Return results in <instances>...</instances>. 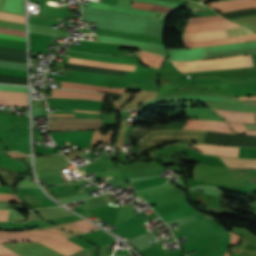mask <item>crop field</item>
I'll return each mask as SVG.
<instances>
[{
    "label": "crop field",
    "instance_id": "1",
    "mask_svg": "<svg viewBox=\"0 0 256 256\" xmlns=\"http://www.w3.org/2000/svg\"><path fill=\"white\" fill-rule=\"evenodd\" d=\"M173 62V61H172ZM183 72L252 66L251 56L208 59L194 62H173Z\"/></svg>",
    "mask_w": 256,
    "mask_h": 256
},
{
    "label": "crop field",
    "instance_id": "2",
    "mask_svg": "<svg viewBox=\"0 0 256 256\" xmlns=\"http://www.w3.org/2000/svg\"><path fill=\"white\" fill-rule=\"evenodd\" d=\"M61 238L68 237L46 231L0 232V242L46 241Z\"/></svg>",
    "mask_w": 256,
    "mask_h": 256
},
{
    "label": "crop field",
    "instance_id": "3",
    "mask_svg": "<svg viewBox=\"0 0 256 256\" xmlns=\"http://www.w3.org/2000/svg\"><path fill=\"white\" fill-rule=\"evenodd\" d=\"M180 100H188V101L210 100V101H217V102H224V103H231V104H238V105H256V100H234L226 97L203 96V95H180V96H172V97H165L161 99L150 100L145 105H143L142 108L155 102L180 101Z\"/></svg>",
    "mask_w": 256,
    "mask_h": 256
},
{
    "label": "crop field",
    "instance_id": "4",
    "mask_svg": "<svg viewBox=\"0 0 256 256\" xmlns=\"http://www.w3.org/2000/svg\"><path fill=\"white\" fill-rule=\"evenodd\" d=\"M233 27H238V26L227 20H223V21H215V22L188 24L186 25L185 32L214 31V30H221V29H229Z\"/></svg>",
    "mask_w": 256,
    "mask_h": 256
},
{
    "label": "crop field",
    "instance_id": "5",
    "mask_svg": "<svg viewBox=\"0 0 256 256\" xmlns=\"http://www.w3.org/2000/svg\"><path fill=\"white\" fill-rule=\"evenodd\" d=\"M185 129L209 130V131L233 133L230 131V129L226 123L215 122V121H191V120H188Z\"/></svg>",
    "mask_w": 256,
    "mask_h": 256
},
{
    "label": "crop field",
    "instance_id": "6",
    "mask_svg": "<svg viewBox=\"0 0 256 256\" xmlns=\"http://www.w3.org/2000/svg\"><path fill=\"white\" fill-rule=\"evenodd\" d=\"M227 121L255 124L254 113L213 109Z\"/></svg>",
    "mask_w": 256,
    "mask_h": 256
},
{
    "label": "crop field",
    "instance_id": "7",
    "mask_svg": "<svg viewBox=\"0 0 256 256\" xmlns=\"http://www.w3.org/2000/svg\"><path fill=\"white\" fill-rule=\"evenodd\" d=\"M66 256H69L70 254L83 249L80 248L74 244H72L71 242L63 239V240H56V241H46V242H40Z\"/></svg>",
    "mask_w": 256,
    "mask_h": 256
},
{
    "label": "crop field",
    "instance_id": "8",
    "mask_svg": "<svg viewBox=\"0 0 256 256\" xmlns=\"http://www.w3.org/2000/svg\"><path fill=\"white\" fill-rule=\"evenodd\" d=\"M69 63L83 64V65L101 67V68L121 69V70H127V71H134V68H135V66L133 65L105 63V62L89 61V60H82V59H76V58H71Z\"/></svg>",
    "mask_w": 256,
    "mask_h": 256
},
{
    "label": "crop field",
    "instance_id": "9",
    "mask_svg": "<svg viewBox=\"0 0 256 256\" xmlns=\"http://www.w3.org/2000/svg\"><path fill=\"white\" fill-rule=\"evenodd\" d=\"M104 97V95L83 93L78 91L54 90V98L95 99L103 101Z\"/></svg>",
    "mask_w": 256,
    "mask_h": 256
},
{
    "label": "crop field",
    "instance_id": "10",
    "mask_svg": "<svg viewBox=\"0 0 256 256\" xmlns=\"http://www.w3.org/2000/svg\"><path fill=\"white\" fill-rule=\"evenodd\" d=\"M203 153L237 157L238 148L218 147L212 145H192Z\"/></svg>",
    "mask_w": 256,
    "mask_h": 256
},
{
    "label": "crop field",
    "instance_id": "11",
    "mask_svg": "<svg viewBox=\"0 0 256 256\" xmlns=\"http://www.w3.org/2000/svg\"><path fill=\"white\" fill-rule=\"evenodd\" d=\"M227 37L224 30L214 32L184 33L183 42L195 40H211Z\"/></svg>",
    "mask_w": 256,
    "mask_h": 256
},
{
    "label": "crop field",
    "instance_id": "12",
    "mask_svg": "<svg viewBox=\"0 0 256 256\" xmlns=\"http://www.w3.org/2000/svg\"><path fill=\"white\" fill-rule=\"evenodd\" d=\"M62 88H71V89H83V90H90V91H101V92H113V93H121L126 89H107L103 87H95V86H87L81 84H75L70 82H62Z\"/></svg>",
    "mask_w": 256,
    "mask_h": 256
},
{
    "label": "crop field",
    "instance_id": "13",
    "mask_svg": "<svg viewBox=\"0 0 256 256\" xmlns=\"http://www.w3.org/2000/svg\"><path fill=\"white\" fill-rule=\"evenodd\" d=\"M220 157V156H219ZM228 167L256 168V160L220 157Z\"/></svg>",
    "mask_w": 256,
    "mask_h": 256
},
{
    "label": "crop field",
    "instance_id": "14",
    "mask_svg": "<svg viewBox=\"0 0 256 256\" xmlns=\"http://www.w3.org/2000/svg\"><path fill=\"white\" fill-rule=\"evenodd\" d=\"M253 40H256V37L254 35L240 36L235 38L218 40L216 43H213L212 45L233 44V43L247 42V41H253Z\"/></svg>",
    "mask_w": 256,
    "mask_h": 256
},
{
    "label": "crop field",
    "instance_id": "15",
    "mask_svg": "<svg viewBox=\"0 0 256 256\" xmlns=\"http://www.w3.org/2000/svg\"><path fill=\"white\" fill-rule=\"evenodd\" d=\"M132 7L142 8V9H150V10L166 11V12H172L175 10V8L145 4V3L134 2V1H132Z\"/></svg>",
    "mask_w": 256,
    "mask_h": 256
},
{
    "label": "crop field",
    "instance_id": "16",
    "mask_svg": "<svg viewBox=\"0 0 256 256\" xmlns=\"http://www.w3.org/2000/svg\"><path fill=\"white\" fill-rule=\"evenodd\" d=\"M219 15H213V16H202V17H192L191 23L196 22H206V21H215V20H223Z\"/></svg>",
    "mask_w": 256,
    "mask_h": 256
},
{
    "label": "crop field",
    "instance_id": "17",
    "mask_svg": "<svg viewBox=\"0 0 256 256\" xmlns=\"http://www.w3.org/2000/svg\"><path fill=\"white\" fill-rule=\"evenodd\" d=\"M227 33V36H236V35H247V34H253L252 32L242 28V27H238V28H234V29H229V30H225Z\"/></svg>",
    "mask_w": 256,
    "mask_h": 256
},
{
    "label": "crop field",
    "instance_id": "18",
    "mask_svg": "<svg viewBox=\"0 0 256 256\" xmlns=\"http://www.w3.org/2000/svg\"><path fill=\"white\" fill-rule=\"evenodd\" d=\"M73 225H75L76 227H78L79 229H81L82 231L86 232L89 230H94V229H98L97 227L83 221H76V222H72Z\"/></svg>",
    "mask_w": 256,
    "mask_h": 256
},
{
    "label": "crop field",
    "instance_id": "19",
    "mask_svg": "<svg viewBox=\"0 0 256 256\" xmlns=\"http://www.w3.org/2000/svg\"><path fill=\"white\" fill-rule=\"evenodd\" d=\"M0 19L23 23V16H15V15L1 13V12H0Z\"/></svg>",
    "mask_w": 256,
    "mask_h": 256
},
{
    "label": "crop field",
    "instance_id": "20",
    "mask_svg": "<svg viewBox=\"0 0 256 256\" xmlns=\"http://www.w3.org/2000/svg\"><path fill=\"white\" fill-rule=\"evenodd\" d=\"M210 41H195L184 43L186 48L207 46Z\"/></svg>",
    "mask_w": 256,
    "mask_h": 256
},
{
    "label": "crop field",
    "instance_id": "21",
    "mask_svg": "<svg viewBox=\"0 0 256 256\" xmlns=\"http://www.w3.org/2000/svg\"><path fill=\"white\" fill-rule=\"evenodd\" d=\"M0 33L12 34V35L25 37V32H23V31H17V30L6 29V28H0Z\"/></svg>",
    "mask_w": 256,
    "mask_h": 256
},
{
    "label": "crop field",
    "instance_id": "22",
    "mask_svg": "<svg viewBox=\"0 0 256 256\" xmlns=\"http://www.w3.org/2000/svg\"><path fill=\"white\" fill-rule=\"evenodd\" d=\"M0 200L18 202V201L13 197V195H8V194H0Z\"/></svg>",
    "mask_w": 256,
    "mask_h": 256
},
{
    "label": "crop field",
    "instance_id": "23",
    "mask_svg": "<svg viewBox=\"0 0 256 256\" xmlns=\"http://www.w3.org/2000/svg\"><path fill=\"white\" fill-rule=\"evenodd\" d=\"M0 37L25 42V38H22V37H16V36H10V35H3V34H0Z\"/></svg>",
    "mask_w": 256,
    "mask_h": 256
},
{
    "label": "crop field",
    "instance_id": "24",
    "mask_svg": "<svg viewBox=\"0 0 256 256\" xmlns=\"http://www.w3.org/2000/svg\"><path fill=\"white\" fill-rule=\"evenodd\" d=\"M0 212H9V211L0 210ZM8 214L9 213H0V221H7Z\"/></svg>",
    "mask_w": 256,
    "mask_h": 256
},
{
    "label": "crop field",
    "instance_id": "25",
    "mask_svg": "<svg viewBox=\"0 0 256 256\" xmlns=\"http://www.w3.org/2000/svg\"><path fill=\"white\" fill-rule=\"evenodd\" d=\"M245 126L247 127V129H255L256 130V125H247V124H245Z\"/></svg>",
    "mask_w": 256,
    "mask_h": 256
},
{
    "label": "crop field",
    "instance_id": "26",
    "mask_svg": "<svg viewBox=\"0 0 256 256\" xmlns=\"http://www.w3.org/2000/svg\"><path fill=\"white\" fill-rule=\"evenodd\" d=\"M16 254H0V256H18L19 255V254L18 255H16Z\"/></svg>",
    "mask_w": 256,
    "mask_h": 256
},
{
    "label": "crop field",
    "instance_id": "27",
    "mask_svg": "<svg viewBox=\"0 0 256 256\" xmlns=\"http://www.w3.org/2000/svg\"><path fill=\"white\" fill-rule=\"evenodd\" d=\"M84 189H82V190H80V191H83ZM80 191H78V192H80Z\"/></svg>",
    "mask_w": 256,
    "mask_h": 256
},
{
    "label": "crop field",
    "instance_id": "28",
    "mask_svg": "<svg viewBox=\"0 0 256 256\" xmlns=\"http://www.w3.org/2000/svg\"><path fill=\"white\" fill-rule=\"evenodd\" d=\"M67 144H69V142H66Z\"/></svg>",
    "mask_w": 256,
    "mask_h": 256
},
{
    "label": "crop field",
    "instance_id": "29",
    "mask_svg": "<svg viewBox=\"0 0 256 256\" xmlns=\"http://www.w3.org/2000/svg\"><path fill=\"white\" fill-rule=\"evenodd\" d=\"M153 137H156V136H153Z\"/></svg>",
    "mask_w": 256,
    "mask_h": 256
},
{
    "label": "crop field",
    "instance_id": "30",
    "mask_svg": "<svg viewBox=\"0 0 256 256\" xmlns=\"http://www.w3.org/2000/svg\"><path fill=\"white\" fill-rule=\"evenodd\" d=\"M70 182V181H69Z\"/></svg>",
    "mask_w": 256,
    "mask_h": 256
}]
</instances>
